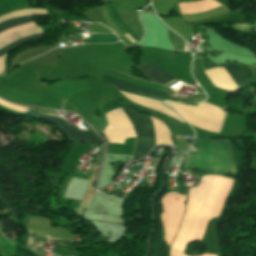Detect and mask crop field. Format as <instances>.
<instances>
[{
	"mask_svg": "<svg viewBox=\"0 0 256 256\" xmlns=\"http://www.w3.org/2000/svg\"><path fill=\"white\" fill-rule=\"evenodd\" d=\"M193 147L185 156L184 167L235 173L230 141L197 138Z\"/></svg>",
	"mask_w": 256,
	"mask_h": 256,
	"instance_id": "obj_1",
	"label": "crop field"
},
{
	"mask_svg": "<svg viewBox=\"0 0 256 256\" xmlns=\"http://www.w3.org/2000/svg\"><path fill=\"white\" fill-rule=\"evenodd\" d=\"M126 114L130 118L138 136L137 147L135 155L136 157H141L145 155L148 150L155 145V126L152 118L148 115L138 114L133 109L124 108ZM106 136L108 142H112L110 135L107 130L103 132Z\"/></svg>",
	"mask_w": 256,
	"mask_h": 256,
	"instance_id": "obj_2",
	"label": "crop field"
},
{
	"mask_svg": "<svg viewBox=\"0 0 256 256\" xmlns=\"http://www.w3.org/2000/svg\"><path fill=\"white\" fill-rule=\"evenodd\" d=\"M27 114L41 117L60 128L70 139V141H91L98 142V137L91 131L81 132L77 127H70L63 122L62 119L55 116L43 115L33 111L28 110Z\"/></svg>",
	"mask_w": 256,
	"mask_h": 256,
	"instance_id": "obj_3",
	"label": "crop field"
},
{
	"mask_svg": "<svg viewBox=\"0 0 256 256\" xmlns=\"http://www.w3.org/2000/svg\"><path fill=\"white\" fill-rule=\"evenodd\" d=\"M102 79H103L104 83L109 84L118 90L138 94L141 96H145V97H149V98H153V99H157V100H161V101H162V99H166V96H167V93H165V92L131 85V84L107 77L105 75L103 76Z\"/></svg>",
	"mask_w": 256,
	"mask_h": 256,
	"instance_id": "obj_4",
	"label": "crop field"
},
{
	"mask_svg": "<svg viewBox=\"0 0 256 256\" xmlns=\"http://www.w3.org/2000/svg\"><path fill=\"white\" fill-rule=\"evenodd\" d=\"M34 21V16H30V17H19V18H13L11 20H8V21H5L3 23L0 24V32L1 31H4L10 27H14V26H17V25H20V24H23V23H27V22H32ZM30 24H35V22H32V23H27V24H23V25H20V26H24V25H30ZM20 26H17V27H20ZM17 27H14V28H11L7 31H4L5 33L12 30V29H15ZM4 34L3 32L0 33V35ZM42 35L40 36H36V37H31V38H27V39H24L22 41H19L7 48H5L4 50L0 51V56L1 55H4L6 53H8L10 50H12L13 48H15L16 46L24 43V42H29V41H33V40H36V39H41Z\"/></svg>",
	"mask_w": 256,
	"mask_h": 256,
	"instance_id": "obj_5",
	"label": "crop field"
},
{
	"mask_svg": "<svg viewBox=\"0 0 256 256\" xmlns=\"http://www.w3.org/2000/svg\"><path fill=\"white\" fill-rule=\"evenodd\" d=\"M222 68L238 89L249 85L243 69L233 65H226Z\"/></svg>",
	"mask_w": 256,
	"mask_h": 256,
	"instance_id": "obj_6",
	"label": "crop field"
},
{
	"mask_svg": "<svg viewBox=\"0 0 256 256\" xmlns=\"http://www.w3.org/2000/svg\"><path fill=\"white\" fill-rule=\"evenodd\" d=\"M142 70L146 76L156 82L159 83H167L173 79H175L173 76L163 72L161 69H159L156 65H154L153 63L140 69ZM176 80V79H175ZM174 81V80H173ZM172 82V81H171ZM170 82V83H171ZM169 84V83H168ZM167 85V84H166Z\"/></svg>",
	"mask_w": 256,
	"mask_h": 256,
	"instance_id": "obj_7",
	"label": "crop field"
},
{
	"mask_svg": "<svg viewBox=\"0 0 256 256\" xmlns=\"http://www.w3.org/2000/svg\"><path fill=\"white\" fill-rule=\"evenodd\" d=\"M110 7H111V10H112V12H113V14H114V16H115L117 22H118L119 25H120V27H121L123 30H125L132 38H134V39L138 42L140 39H139L130 29H128V28L123 24V22H122V21L119 19V17L117 16V14H116V12H115L113 6L111 5ZM106 10H107V12H108V15H109L111 21L114 23V25L117 27V29H118L123 35L126 34V32L123 31V30L119 27V25L117 24L116 20L114 19L113 15H112V13H111V11H110L109 6L106 7ZM128 34L125 35V37H126L130 42L136 43V41H135L134 39H132Z\"/></svg>",
	"mask_w": 256,
	"mask_h": 256,
	"instance_id": "obj_8",
	"label": "crop field"
},
{
	"mask_svg": "<svg viewBox=\"0 0 256 256\" xmlns=\"http://www.w3.org/2000/svg\"><path fill=\"white\" fill-rule=\"evenodd\" d=\"M90 40H83L84 43H111L117 42L116 35H89Z\"/></svg>",
	"mask_w": 256,
	"mask_h": 256,
	"instance_id": "obj_9",
	"label": "crop field"
},
{
	"mask_svg": "<svg viewBox=\"0 0 256 256\" xmlns=\"http://www.w3.org/2000/svg\"><path fill=\"white\" fill-rule=\"evenodd\" d=\"M168 36L169 39L173 45L174 51H180V52H185V44L183 41H181L179 38H177L174 34L170 33L168 30ZM186 52H189L186 46Z\"/></svg>",
	"mask_w": 256,
	"mask_h": 256,
	"instance_id": "obj_10",
	"label": "crop field"
},
{
	"mask_svg": "<svg viewBox=\"0 0 256 256\" xmlns=\"http://www.w3.org/2000/svg\"><path fill=\"white\" fill-rule=\"evenodd\" d=\"M170 256H186V255L178 253V252L170 249ZM200 256H217V255L204 254V255H200Z\"/></svg>",
	"mask_w": 256,
	"mask_h": 256,
	"instance_id": "obj_11",
	"label": "crop field"
},
{
	"mask_svg": "<svg viewBox=\"0 0 256 256\" xmlns=\"http://www.w3.org/2000/svg\"><path fill=\"white\" fill-rule=\"evenodd\" d=\"M221 53H222L221 51L209 50L207 55H211L213 57H216V56H218Z\"/></svg>",
	"mask_w": 256,
	"mask_h": 256,
	"instance_id": "obj_12",
	"label": "crop field"
},
{
	"mask_svg": "<svg viewBox=\"0 0 256 256\" xmlns=\"http://www.w3.org/2000/svg\"><path fill=\"white\" fill-rule=\"evenodd\" d=\"M40 240H42L43 242L46 243L47 239H42V238H39Z\"/></svg>",
	"mask_w": 256,
	"mask_h": 256,
	"instance_id": "obj_13",
	"label": "crop field"
},
{
	"mask_svg": "<svg viewBox=\"0 0 256 256\" xmlns=\"http://www.w3.org/2000/svg\"><path fill=\"white\" fill-rule=\"evenodd\" d=\"M64 102V101H63Z\"/></svg>",
	"mask_w": 256,
	"mask_h": 256,
	"instance_id": "obj_14",
	"label": "crop field"
}]
</instances>
